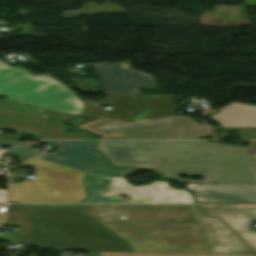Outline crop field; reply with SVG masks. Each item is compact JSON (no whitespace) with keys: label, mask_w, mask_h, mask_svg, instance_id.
Here are the masks:
<instances>
[{"label":"crop field","mask_w":256,"mask_h":256,"mask_svg":"<svg viewBox=\"0 0 256 256\" xmlns=\"http://www.w3.org/2000/svg\"><path fill=\"white\" fill-rule=\"evenodd\" d=\"M186 185L201 203H256V184Z\"/></svg>","instance_id":"crop-field-13"},{"label":"crop field","mask_w":256,"mask_h":256,"mask_svg":"<svg viewBox=\"0 0 256 256\" xmlns=\"http://www.w3.org/2000/svg\"><path fill=\"white\" fill-rule=\"evenodd\" d=\"M225 131H238L240 139H256V128H221Z\"/></svg>","instance_id":"crop-field-18"},{"label":"crop field","mask_w":256,"mask_h":256,"mask_svg":"<svg viewBox=\"0 0 256 256\" xmlns=\"http://www.w3.org/2000/svg\"><path fill=\"white\" fill-rule=\"evenodd\" d=\"M211 216H221L256 251V233H252V216L234 206H201Z\"/></svg>","instance_id":"crop-field-14"},{"label":"crop field","mask_w":256,"mask_h":256,"mask_svg":"<svg viewBox=\"0 0 256 256\" xmlns=\"http://www.w3.org/2000/svg\"><path fill=\"white\" fill-rule=\"evenodd\" d=\"M211 116L221 127H256V106L233 102Z\"/></svg>","instance_id":"crop-field-15"},{"label":"crop field","mask_w":256,"mask_h":256,"mask_svg":"<svg viewBox=\"0 0 256 256\" xmlns=\"http://www.w3.org/2000/svg\"><path fill=\"white\" fill-rule=\"evenodd\" d=\"M86 183L90 197L83 203H194L189 193L172 188L168 182L155 181L134 187L124 178H110L89 172ZM122 195L131 199H122Z\"/></svg>","instance_id":"crop-field-7"},{"label":"crop field","mask_w":256,"mask_h":256,"mask_svg":"<svg viewBox=\"0 0 256 256\" xmlns=\"http://www.w3.org/2000/svg\"><path fill=\"white\" fill-rule=\"evenodd\" d=\"M32 144L31 143H26L23 144L17 148L11 149L9 151H6V153H14L17 155V157H19L18 161H24L36 154H38L37 152L31 150L29 147H31Z\"/></svg>","instance_id":"crop-field-17"},{"label":"crop field","mask_w":256,"mask_h":256,"mask_svg":"<svg viewBox=\"0 0 256 256\" xmlns=\"http://www.w3.org/2000/svg\"><path fill=\"white\" fill-rule=\"evenodd\" d=\"M161 256H256L241 254H179V253H160Z\"/></svg>","instance_id":"crop-field-22"},{"label":"crop field","mask_w":256,"mask_h":256,"mask_svg":"<svg viewBox=\"0 0 256 256\" xmlns=\"http://www.w3.org/2000/svg\"><path fill=\"white\" fill-rule=\"evenodd\" d=\"M0 95L66 113L83 112V102L75 93L49 74L33 76L24 68H13L1 60Z\"/></svg>","instance_id":"crop-field-5"},{"label":"crop field","mask_w":256,"mask_h":256,"mask_svg":"<svg viewBox=\"0 0 256 256\" xmlns=\"http://www.w3.org/2000/svg\"><path fill=\"white\" fill-rule=\"evenodd\" d=\"M135 171L137 170L112 167L111 165L108 164V162L104 159V157L91 170V172H95L101 175H111V176H118V177H126L134 173Z\"/></svg>","instance_id":"crop-field-16"},{"label":"crop field","mask_w":256,"mask_h":256,"mask_svg":"<svg viewBox=\"0 0 256 256\" xmlns=\"http://www.w3.org/2000/svg\"><path fill=\"white\" fill-rule=\"evenodd\" d=\"M105 93L140 94V88H158L152 75L131 69L129 62L93 64Z\"/></svg>","instance_id":"crop-field-10"},{"label":"crop field","mask_w":256,"mask_h":256,"mask_svg":"<svg viewBox=\"0 0 256 256\" xmlns=\"http://www.w3.org/2000/svg\"><path fill=\"white\" fill-rule=\"evenodd\" d=\"M0 144L13 147L21 143L18 141H0Z\"/></svg>","instance_id":"crop-field-24"},{"label":"crop field","mask_w":256,"mask_h":256,"mask_svg":"<svg viewBox=\"0 0 256 256\" xmlns=\"http://www.w3.org/2000/svg\"><path fill=\"white\" fill-rule=\"evenodd\" d=\"M250 155L254 159V161L256 162V154H250Z\"/></svg>","instance_id":"crop-field-28"},{"label":"crop field","mask_w":256,"mask_h":256,"mask_svg":"<svg viewBox=\"0 0 256 256\" xmlns=\"http://www.w3.org/2000/svg\"><path fill=\"white\" fill-rule=\"evenodd\" d=\"M0 109H6V110H15V111H24V112H32L18 103H11L7 101L0 100ZM34 113V112H32Z\"/></svg>","instance_id":"crop-field-21"},{"label":"crop field","mask_w":256,"mask_h":256,"mask_svg":"<svg viewBox=\"0 0 256 256\" xmlns=\"http://www.w3.org/2000/svg\"><path fill=\"white\" fill-rule=\"evenodd\" d=\"M0 127L17 130L18 134L2 138H17L20 134H30L38 139H87L92 136L86 132L65 134L66 128L52 118L5 110H0ZM43 132L49 133L51 137H40Z\"/></svg>","instance_id":"crop-field-9"},{"label":"crop field","mask_w":256,"mask_h":256,"mask_svg":"<svg viewBox=\"0 0 256 256\" xmlns=\"http://www.w3.org/2000/svg\"><path fill=\"white\" fill-rule=\"evenodd\" d=\"M256 217V205H236Z\"/></svg>","instance_id":"crop-field-23"},{"label":"crop field","mask_w":256,"mask_h":256,"mask_svg":"<svg viewBox=\"0 0 256 256\" xmlns=\"http://www.w3.org/2000/svg\"><path fill=\"white\" fill-rule=\"evenodd\" d=\"M148 96V95H142ZM140 95L112 94L108 95L98 104L94 101H84V113L107 118L139 122L170 115L177 107L172 103L175 95H152L158 100L144 98ZM100 103H107L112 110H105L99 107ZM38 112L66 117L73 114H66L58 111L40 108Z\"/></svg>","instance_id":"crop-field-8"},{"label":"crop field","mask_w":256,"mask_h":256,"mask_svg":"<svg viewBox=\"0 0 256 256\" xmlns=\"http://www.w3.org/2000/svg\"><path fill=\"white\" fill-rule=\"evenodd\" d=\"M102 139H197L212 135L208 127L184 115H175L139 124L100 118L78 126Z\"/></svg>","instance_id":"crop-field-6"},{"label":"crop field","mask_w":256,"mask_h":256,"mask_svg":"<svg viewBox=\"0 0 256 256\" xmlns=\"http://www.w3.org/2000/svg\"><path fill=\"white\" fill-rule=\"evenodd\" d=\"M41 142L55 147L57 151L45 153L37 158L86 171H89L101 156L94 147L95 142L38 141L35 144Z\"/></svg>","instance_id":"crop-field-12"},{"label":"crop field","mask_w":256,"mask_h":256,"mask_svg":"<svg viewBox=\"0 0 256 256\" xmlns=\"http://www.w3.org/2000/svg\"><path fill=\"white\" fill-rule=\"evenodd\" d=\"M6 224L20 227L11 244L132 252L125 240L86 217L78 205L8 206Z\"/></svg>","instance_id":"crop-field-3"},{"label":"crop field","mask_w":256,"mask_h":256,"mask_svg":"<svg viewBox=\"0 0 256 256\" xmlns=\"http://www.w3.org/2000/svg\"><path fill=\"white\" fill-rule=\"evenodd\" d=\"M97 146L115 165L151 169L181 182L256 183V164L240 146L185 141H101ZM179 174L205 179H177Z\"/></svg>","instance_id":"crop-field-1"},{"label":"crop field","mask_w":256,"mask_h":256,"mask_svg":"<svg viewBox=\"0 0 256 256\" xmlns=\"http://www.w3.org/2000/svg\"><path fill=\"white\" fill-rule=\"evenodd\" d=\"M210 253H255L220 218H210L198 206H192Z\"/></svg>","instance_id":"crop-field-11"},{"label":"crop field","mask_w":256,"mask_h":256,"mask_svg":"<svg viewBox=\"0 0 256 256\" xmlns=\"http://www.w3.org/2000/svg\"><path fill=\"white\" fill-rule=\"evenodd\" d=\"M101 256H160L159 253L99 252Z\"/></svg>","instance_id":"crop-field-20"},{"label":"crop field","mask_w":256,"mask_h":256,"mask_svg":"<svg viewBox=\"0 0 256 256\" xmlns=\"http://www.w3.org/2000/svg\"><path fill=\"white\" fill-rule=\"evenodd\" d=\"M23 105L32 109V110H35V111H37L39 109L38 107H34V106L26 105V104H23Z\"/></svg>","instance_id":"crop-field-27"},{"label":"crop field","mask_w":256,"mask_h":256,"mask_svg":"<svg viewBox=\"0 0 256 256\" xmlns=\"http://www.w3.org/2000/svg\"><path fill=\"white\" fill-rule=\"evenodd\" d=\"M7 197L6 190H0V203H5Z\"/></svg>","instance_id":"crop-field-25"},{"label":"crop field","mask_w":256,"mask_h":256,"mask_svg":"<svg viewBox=\"0 0 256 256\" xmlns=\"http://www.w3.org/2000/svg\"><path fill=\"white\" fill-rule=\"evenodd\" d=\"M36 167V178L18 184L11 183L10 201L20 203H80L87 197L83 185L86 171L77 170L34 158L21 165L22 171L14 167L15 175H25L24 167Z\"/></svg>","instance_id":"crop-field-4"},{"label":"crop field","mask_w":256,"mask_h":256,"mask_svg":"<svg viewBox=\"0 0 256 256\" xmlns=\"http://www.w3.org/2000/svg\"><path fill=\"white\" fill-rule=\"evenodd\" d=\"M5 205L0 204V227L2 225Z\"/></svg>","instance_id":"crop-field-26"},{"label":"crop field","mask_w":256,"mask_h":256,"mask_svg":"<svg viewBox=\"0 0 256 256\" xmlns=\"http://www.w3.org/2000/svg\"><path fill=\"white\" fill-rule=\"evenodd\" d=\"M81 206L87 215L128 240L135 252L209 253L190 205Z\"/></svg>","instance_id":"crop-field-2"},{"label":"crop field","mask_w":256,"mask_h":256,"mask_svg":"<svg viewBox=\"0 0 256 256\" xmlns=\"http://www.w3.org/2000/svg\"><path fill=\"white\" fill-rule=\"evenodd\" d=\"M53 118H54V117H53ZM97 118H100V117H95V116H74V117L56 118V119H59V120H61V121L67 122V123H69V124L78 126V125H81V124H83V123H86V122L95 120V119H97Z\"/></svg>","instance_id":"crop-field-19"}]
</instances>
